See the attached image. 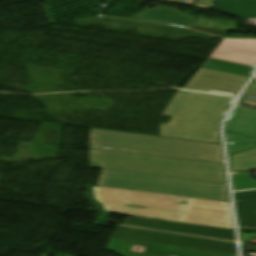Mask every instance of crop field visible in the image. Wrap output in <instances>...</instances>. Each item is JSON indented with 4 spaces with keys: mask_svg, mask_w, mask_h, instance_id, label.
Returning <instances> with one entry per match:
<instances>
[{
    "mask_svg": "<svg viewBox=\"0 0 256 256\" xmlns=\"http://www.w3.org/2000/svg\"><path fill=\"white\" fill-rule=\"evenodd\" d=\"M226 37H241V38H256L255 35H248V36H243V35H228Z\"/></svg>",
    "mask_w": 256,
    "mask_h": 256,
    "instance_id": "obj_13",
    "label": "crop field"
},
{
    "mask_svg": "<svg viewBox=\"0 0 256 256\" xmlns=\"http://www.w3.org/2000/svg\"><path fill=\"white\" fill-rule=\"evenodd\" d=\"M239 225H256V199L235 202Z\"/></svg>",
    "mask_w": 256,
    "mask_h": 256,
    "instance_id": "obj_9",
    "label": "crop field"
},
{
    "mask_svg": "<svg viewBox=\"0 0 256 256\" xmlns=\"http://www.w3.org/2000/svg\"><path fill=\"white\" fill-rule=\"evenodd\" d=\"M55 256H67V255L56 254Z\"/></svg>",
    "mask_w": 256,
    "mask_h": 256,
    "instance_id": "obj_15",
    "label": "crop field"
},
{
    "mask_svg": "<svg viewBox=\"0 0 256 256\" xmlns=\"http://www.w3.org/2000/svg\"><path fill=\"white\" fill-rule=\"evenodd\" d=\"M240 231H256V228H240Z\"/></svg>",
    "mask_w": 256,
    "mask_h": 256,
    "instance_id": "obj_14",
    "label": "crop field"
},
{
    "mask_svg": "<svg viewBox=\"0 0 256 256\" xmlns=\"http://www.w3.org/2000/svg\"><path fill=\"white\" fill-rule=\"evenodd\" d=\"M193 26L211 28L225 31H236L237 26L233 21H224L218 19H205L203 17H197Z\"/></svg>",
    "mask_w": 256,
    "mask_h": 256,
    "instance_id": "obj_10",
    "label": "crop field"
},
{
    "mask_svg": "<svg viewBox=\"0 0 256 256\" xmlns=\"http://www.w3.org/2000/svg\"><path fill=\"white\" fill-rule=\"evenodd\" d=\"M235 97L178 90L163 113L160 136L220 143L218 126Z\"/></svg>",
    "mask_w": 256,
    "mask_h": 256,
    "instance_id": "obj_2",
    "label": "crop field"
},
{
    "mask_svg": "<svg viewBox=\"0 0 256 256\" xmlns=\"http://www.w3.org/2000/svg\"><path fill=\"white\" fill-rule=\"evenodd\" d=\"M93 190L95 200L102 203L108 212L233 229L230 209L225 202L101 187H93ZM180 201L188 203L176 204ZM125 205L148 208H130Z\"/></svg>",
    "mask_w": 256,
    "mask_h": 256,
    "instance_id": "obj_1",
    "label": "crop field"
},
{
    "mask_svg": "<svg viewBox=\"0 0 256 256\" xmlns=\"http://www.w3.org/2000/svg\"><path fill=\"white\" fill-rule=\"evenodd\" d=\"M191 29L199 30L202 32L210 33V34L221 36V37H223L224 35H226L228 33L225 31L210 30V29H203V28H196V27H192Z\"/></svg>",
    "mask_w": 256,
    "mask_h": 256,
    "instance_id": "obj_12",
    "label": "crop field"
},
{
    "mask_svg": "<svg viewBox=\"0 0 256 256\" xmlns=\"http://www.w3.org/2000/svg\"><path fill=\"white\" fill-rule=\"evenodd\" d=\"M201 67L213 69V70L224 71V72L242 75V76H246V77H249L250 74L255 69L254 67L214 60V59H210V58H208Z\"/></svg>",
    "mask_w": 256,
    "mask_h": 256,
    "instance_id": "obj_8",
    "label": "crop field"
},
{
    "mask_svg": "<svg viewBox=\"0 0 256 256\" xmlns=\"http://www.w3.org/2000/svg\"><path fill=\"white\" fill-rule=\"evenodd\" d=\"M246 77L199 68L185 88L235 95Z\"/></svg>",
    "mask_w": 256,
    "mask_h": 256,
    "instance_id": "obj_5",
    "label": "crop field"
},
{
    "mask_svg": "<svg viewBox=\"0 0 256 256\" xmlns=\"http://www.w3.org/2000/svg\"><path fill=\"white\" fill-rule=\"evenodd\" d=\"M210 58L256 67V40L223 39Z\"/></svg>",
    "mask_w": 256,
    "mask_h": 256,
    "instance_id": "obj_6",
    "label": "crop field"
},
{
    "mask_svg": "<svg viewBox=\"0 0 256 256\" xmlns=\"http://www.w3.org/2000/svg\"><path fill=\"white\" fill-rule=\"evenodd\" d=\"M214 10L245 19H256V0H216Z\"/></svg>",
    "mask_w": 256,
    "mask_h": 256,
    "instance_id": "obj_7",
    "label": "crop field"
},
{
    "mask_svg": "<svg viewBox=\"0 0 256 256\" xmlns=\"http://www.w3.org/2000/svg\"><path fill=\"white\" fill-rule=\"evenodd\" d=\"M112 237L236 255L235 243L117 226Z\"/></svg>",
    "mask_w": 256,
    "mask_h": 256,
    "instance_id": "obj_3",
    "label": "crop field"
},
{
    "mask_svg": "<svg viewBox=\"0 0 256 256\" xmlns=\"http://www.w3.org/2000/svg\"><path fill=\"white\" fill-rule=\"evenodd\" d=\"M234 198H235V201L255 199L256 198V191L234 193Z\"/></svg>",
    "mask_w": 256,
    "mask_h": 256,
    "instance_id": "obj_11",
    "label": "crop field"
},
{
    "mask_svg": "<svg viewBox=\"0 0 256 256\" xmlns=\"http://www.w3.org/2000/svg\"><path fill=\"white\" fill-rule=\"evenodd\" d=\"M122 225L235 241L233 230L167 221L128 218Z\"/></svg>",
    "mask_w": 256,
    "mask_h": 256,
    "instance_id": "obj_4",
    "label": "crop field"
}]
</instances>
